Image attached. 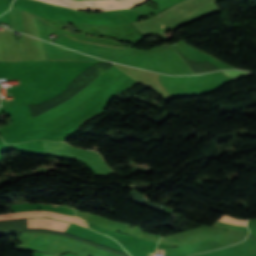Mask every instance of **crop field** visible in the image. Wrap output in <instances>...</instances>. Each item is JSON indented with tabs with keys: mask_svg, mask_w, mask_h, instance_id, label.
Returning a JSON list of instances; mask_svg holds the SVG:
<instances>
[{
	"mask_svg": "<svg viewBox=\"0 0 256 256\" xmlns=\"http://www.w3.org/2000/svg\"><path fill=\"white\" fill-rule=\"evenodd\" d=\"M45 154L75 157L88 162L100 175L112 173L104 159L98 153L73 148L64 142L42 141Z\"/></svg>",
	"mask_w": 256,
	"mask_h": 256,
	"instance_id": "8a807250",
	"label": "crop field"
},
{
	"mask_svg": "<svg viewBox=\"0 0 256 256\" xmlns=\"http://www.w3.org/2000/svg\"><path fill=\"white\" fill-rule=\"evenodd\" d=\"M50 4L74 8L76 10L106 11L116 9H127L134 7L147 0H41Z\"/></svg>",
	"mask_w": 256,
	"mask_h": 256,
	"instance_id": "ac0d7876",
	"label": "crop field"
},
{
	"mask_svg": "<svg viewBox=\"0 0 256 256\" xmlns=\"http://www.w3.org/2000/svg\"><path fill=\"white\" fill-rule=\"evenodd\" d=\"M28 217H52L58 220L71 221L82 226H86V224L78 217L75 216H66L59 213L54 212H45V211H33V212H20V213H10V214H2L0 215V220H10V219H21Z\"/></svg>",
	"mask_w": 256,
	"mask_h": 256,
	"instance_id": "34b2d1b8",
	"label": "crop field"
},
{
	"mask_svg": "<svg viewBox=\"0 0 256 256\" xmlns=\"http://www.w3.org/2000/svg\"><path fill=\"white\" fill-rule=\"evenodd\" d=\"M72 225L73 223L59 222L43 218L27 219V228H47L51 230L66 232ZM24 228H26V219Z\"/></svg>",
	"mask_w": 256,
	"mask_h": 256,
	"instance_id": "412701ff",
	"label": "crop field"
},
{
	"mask_svg": "<svg viewBox=\"0 0 256 256\" xmlns=\"http://www.w3.org/2000/svg\"><path fill=\"white\" fill-rule=\"evenodd\" d=\"M225 74L237 79L240 77H243L245 75L251 74L249 72H244V71H223Z\"/></svg>",
	"mask_w": 256,
	"mask_h": 256,
	"instance_id": "f4fd0767",
	"label": "crop field"
}]
</instances>
